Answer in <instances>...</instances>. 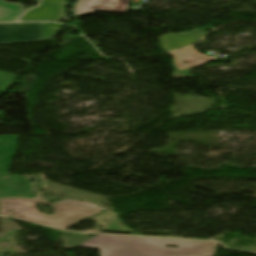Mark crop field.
Segmentation results:
<instances>
[{
	"label": "crop field",
	"mask_w": 256,
	"mask_h": 256,
	"mask_svg": "<svg viewBox=\"0 0 256 256\" xmlns=\"http://www.w3.org/2000/svg\"><path fill=\"white\" fill-rule=\"evenodd\" d=\"M165 244L178 248L164 247ZM218 243L98 234L78 247L98 248L100 256H214Z\"/></svg>",
	"instance_id": "obj_1"
},
{
	"label": "crop field",
	"mask_w": 256,
	"mask_h": 256,
	"mask_svg": "<svg viewBox=\"0 0 256 256\" xmlns=\"http://www.w3.org/2000/svg\"><path fill=\"white\" fill-rule=\"evenodd\" d=\"M36 202L38 201L25 199L0 200V214L46 224L60 229H66L84 218L104 211L40 202L50 205L51 208L55 210V213L52 216H49L38 212L35 206Z\"/></svg>",
	"instance_id": "obj_2"
},
{
	"label": "crop field",
	"mask_w": 256,
	"mask_h": 256,
	"mask_svg": "<svg viewBox=\"0 0 256 256\" xmlns=\"http://www.w3.org/2000/svg\"><path fill=\"white\" fill-rule=\"evenodd\" d=\"M61 26L48 22L0 24V45L47 40Z\"/></svg>",
	"instance_id": "obj_3"
},
{
	"label": "crop field",
	"mask_w": 256,
	"mask_h": 256,
	"mask_svg": "<svg viewBox=\"0 0 256 256\" xmlns=\"http://www.w3.org/2000/svg\"><path fill=\"white\" fill-rule=\"evenodd\" d=\"M169 54L173 57V66L176 69L172 78L191 77L190 69L217 60L215 57L200 54L193 47H187ZM184 61H187V63L184 64Z\"/></svg>",
	"instance_id": "obj_4"
},
{
	"label": "crop field",
	"mask_w": 256,
	"mask_h": 256,
	"mask_svg": "<svg viewBox=\"0 0 256 256\" xmlns=\"http://www.w3.org/2000/svg\"><path fill=\"white\" fill-rule=\"evenodd\" d=\"M66 0H43L41 5L27 12L20 21L49 20L57 22L64 19Z\"/></svg>",
	"instance_id": "obj_5"
},
{
	"label": "crop field",
	"mask_w": 256,
	"mask_h": 256,
	"mask_svg": "<svg viewBox=\"0 0 256 256\" xmlns=\"http://www.w3.org/2000/svg\"><path fill=\"white\" fill-rule=\"evenodd\" d=\"M6 176H9V180L3 179ZM18 196L36 197V195L32 194L30 181L19 175H0V198Z\"/></svg>",
	"instance_id": "obj_6"
},
{
	"label": "crop field",
	"mask_w": 256,
	"mask_h": 256,
	"mask_svg": "<svg viewBox=\"0 0 256 256\" xmlns=\"http://www.w3.org/2000/svg\"><path fill=\"white\" fill-rule=\"evenodd\" d=\"M130 0H80L74 15L93 13L95 10L126 12Z\"/></svg>",
	"instance_id": "obj_7"
},
{
	"label": "crop field",
	"mask_w": 256,
	"mask_h": 256,
	"mask_svg": "<svg viewBox=\"0 0 256 256\" xmlns=\"http://www.w3.org/2000/svg\"><path fill=\"white\" fill-rule=\"evenodd\" d=\"M206 32L203 30L194 29L186 34L169 33L158 37L160 45L166 52L168 50L176 49L182 46L189 45L198 39L202 38Z\"/></svg>",
	"instance_id": "obj_8"
},
{
	"label": "crop field",
	"mask_w": 256,
	"mask_h": 256,
	"mask_svg": "<svg viewBox=\"0 0 256 256\" xmlns=\"http://www.w3.org/2000/svg\"><path fill=\"white\" fill-rule=\"evenodd\" d=\"M18 136H0V174H8Z\"/></svg>",
	"instance_id": "obj_9"
},
{
	"label": "crop field",
	"mask_w": 256,
	"mask_h": 256,
	"mask_svg": "<svg viewBox=\"0 0 256 256\" xmlns=\"http://www.w3.org/2000/svg\"><path fill=\"white\" fill-rule=\"evenodd\" d=\"M23 12V5L9 4L0 0V22L15 21Z\"/></svg>",
	"instance_id": "obj_10"
},
{
	"label": "crop field",
	"mask_w": 256,
	"mask_h": 256,
	"mask_svg": "<svg viewBox=\"0 0 256 256\" xmlns=\"http://www.w3.org/2000/svg\"><path fill=\"white\" fill-rule=\"evenodd\" d=\"M59 238L63 240L62 246L68 250L78 246L79 244L89 239V238L66 237V236H59Z\"/></svg>",
	"instance_id": "obj_11"
},
{
	"label": "crop field",
	"mask_w": 256,
	"mask_h": 256,
	"mask_svg": "<svg viewBox=\"0 0 256 256\" xmlns=\"http://www.w3.org/2000/svg\"><path fill=\"white\" fill-rule=\"evenodd\" d=\"M36 200L48 202V201H46V200H42L41 197H40V195L38 196V198H37ZM51 202H52V201H51ZM55 203L67 204V205H75V206H83V207H91V208H99V209H104V210H106V208H100V207H97L96 205L91 204V203L80 202V201H75V200H64V201L55 202Z\"/></svg>",
	"instance_id": "obj_12"
},
{
	"label": "crop field",
	"mask_w": 256,
	"mask_h": 256,
	"mask_svg": "<svg viewBox=\"0 0 256 256\" xmlns=\"http://www.w3.org/2000/svg\"><path fill=\"white\" fill-rule=\"evenodd\" d=\"M12 78V75L0 72V89L4 88Z\"/></svg>",
	"instance_id": "obj_13"
},
{
	"label": "crop field",
	"mask_w": 256,
	"mask_h": 256,
	"mask_svg": "<svg viewBox=\"0 0 256 256\" xmlns=\"http://www.w3.org/2000/svg\"><path fill=\"white\" fill-rule=\"evenodd\" d=\"M31 1H34V2H36V3H40V0H31Z\"/></svg>",
	"instance_id": "obj_14"
}]
</instances>
